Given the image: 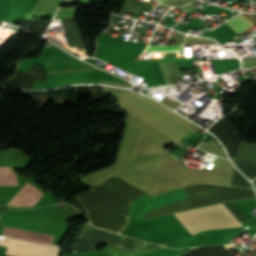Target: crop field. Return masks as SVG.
<instances>
[{
    "label": "crop field",
    "mask_w": 256,
    "mask_h": 256,
    "mask_svg": "<svg viewBox=\"0 0 256 256\" xmlns=\"http://www.w3.org/2000/svg\"><path fill=\"white\" fill-rule=\"evenodd\" d=\"M193 235L201 230L242 226L222 205H211L175 214Z\"/></svg>",
    "instance_id": "8a807250"
},
{
    "label": "crop field",
    "mask_w": 256,
    "mask_h": 256,
    "mask_svg": "<svg viewBox=\"0 0 256 256\" xmlns=\"http://www.w3.org/2000/svg\"><path fill=\"white\" fill-rule=\"evenodd\" d=\"M0 245L7 246L5 254L13 256H57L59 248L52 245L4 237Z\"/></svg>",
    "instance_id": "ac0d7876"
},
{
    "label": "crop field",
    "mask_w": 256,
    "mask_h": 256,
    "mask_svg": "<svg viewBox=\"0 0 256 256\" xmlns=\"http://www.w3.org/2000/svg\"><path fill=\"white\" fill-rule=\"evenodd\" d=\"M182 50V46L148 47L146 51H175Z\"/></svg>",
    "instance_id": "34b2d1b8"
},
{
    "label": "crop field",
    "mask_w": 256,
    "mask_h": 256,
    "mask_svg": "<svg viewBox=\"0 0 256 256\" xmlns=\"http://www.w3.org/2000/svg\"><path fill=\"white\" fill-rule=\"evenodd\" d=\"M238 15H240V14H238ZM240 16H241L242 18H244L242 15H240ZM244 19L247 20L246 18H244ZM247 21H248V20H247ZM248 22L251 23L250 21H248ZM251 24H252V23H251ZM252 25H254V24H252ZM252 25H251V26H252ZM251 26H249V27H251ZM249 27H248V28H249ZM248 28H247V29H248ZM245 30H246V29H245ZM243 31H244V30H243ZM241 32H242V31H241ZM239 33H240V32H239ZM237 34H238V33H237Z\"/></svg>",
    "instance_id": "412701ff"
},
{
    "label": "crop field",
    "mask_w": 256,
    "mask_h": 256,
    "mask_svg": "<svg viewBox=\"0 0 256 256\" xmlns=\"http://www.w3.org/2000/svg\"><path fill=\"white\" fill-rule=\"evenodd\" d=\"M159 1L163 2L164 0H159Z\"/></svg>",
    "instance_id": "f4fd0767"
}]
</instances>
